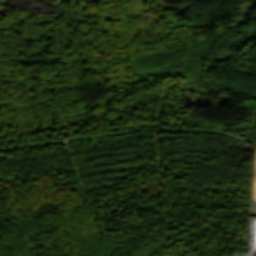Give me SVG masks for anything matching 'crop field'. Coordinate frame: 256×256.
<instances>
[{
    "label": "crop field",
    "instance_id": "1",
    "mask_svg": "<svg viewBox=\"0 0 256 256\" xmlns=\"http://www.w3.org/2000/svg\"><path fill=\"white\" fill-rule=\"evenodd\" d=\"M234 256H238V255H234Z\"/></svg>",
    "mask_w": 256,
    "mask_h": 256
}]
</instances>
